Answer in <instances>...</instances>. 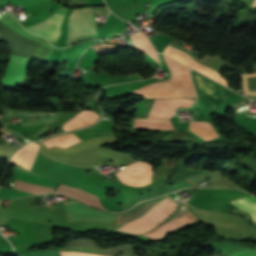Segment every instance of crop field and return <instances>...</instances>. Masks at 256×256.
Instances as JSON below:
<instances>
[{"label":"crop field","instance_id":"10","mask_svg":"<svg viewBox=\"0 0 256 256\" xmlns=\"http://www.w3.org/2000/svg\"><path fill=\"white\" fill-rule=\"evenodd\" d=\"M98 119V114L92 111H83L63 125L65 131L89 126Z\"/></svg>","mask_w":256,"mask_h":256},{"label":"crop field","instance_id":"20","mask_svg":"<svg viewBox=\"0 0 256 256\" xmlns=\"http://www.w3.org/2000/svg\"><path fill=\"white\" fill-rule=\"evenodd\" d=\"M0 119H1V117H0Z\"/></svg>","mask_w":256,"mask_h":256},{"label":"crop field","instance_id":"7","mask_svg":"<svg viewBox=\"0 0 256 256\" xmlns=\"http://www.w3.org/2000/svg\"><path fill=\"white\" fill-rule=\"evenodd\" d=\"M193 74L201 101L207 111L230 93L222 89L221 87L211 83L210 81L202 78L201 76L195 73Z\"/></svg>","mask_w":256,"mask_h":256},{"label":"crop field","instance_id":"1","mask_svg":"<svg viewBox=\"0 0 256 256\" xmlns=\"http://www.w3.org/2000/svg\"><path fill=\"white\" fill-rule=\"evenodd\" d=\"M167 196L168 195L139 203L131 210L126 212L115 213V229L118 230L123 226L127 225L128 223L132 222L133 220L137 219L138 217L142 216L144 213H146L148 210H150ZM177 206L178 204L174 202L173 199L167 197L145 215L120 230L137 234L147 232L156 225H158L160 222H162L166 217H168L177 208Z\"/></svg>","mask_w":256,"mask_h":256},{"label":"crop field","instance_id":"11","mask_svg":"<svg viewBox=\"0 0 256 256\" xmlns=\"http://www.w3.org/2000/svg\"><path fill=\"white\" fill-rule=\"evenodd\" d=\"M189 130L206 141L218 137V134L214 128L210 124L203 121L190 122Z\"/></svg>","mask_w":256,"mask_h":256},{"label":"crop field","instance_id":"14","mask_svg":"<svg viewBox=\"0 0 256 256\" xmlns=\"http://www.w3.org/2000/svg\"><path fill=\"white\" fill-rule=\"evenodd\" d=\"M251 198L256 200V197L254 196H251ZM252 199L246 197L231 202L235 204L237 207L249 212L252 215L253 220L256 221V201Z\"/></svg>","mask_w":256,"mask_h":256},{"label":"crop field","instance_id":"4","mask_svg":"<svg viewBox=\"0 0 256 256\" xmlns=\"http://www.w3.org/2000/svg\"><path fill=\"white\" fill-rule=\"evenodd\" d=\"M115 173L127 185L145 186L150 183L151 165L137 161Z\"/></svg>","mask_w":256,"mask_h":256},{"label":"crop field","instance_id":"16","mask_svg":"<svg viewBox=\"0 0 256 256\" xmlns=\"http://www.w3.org/2000/svg\"><path fill=\"white\" fill-rule=\"evenodd\" d=\"M58 118H48V119H35V120H27L22 123V126L24 125H37V124H44V123H50L54 120H57Z\"/></svg>","mask_w":256,"mask_h":256},{"label":"crop field","instance_id":"3","mask_svg":"<svg viewBox=\"0 0 256 256\" xmlns=\"http://www.w3.org/2000/svg\"><path fill=\"white\" fill-rule=\"evenodd\" d=\"M94 36H96V31L92 8L71 11L68 35L65 43Z\"/></svg>","mask_w":256,"mask_h":256},{"label":"crop field","instance_id":"12","mask_svg":"<svg viewBox=\"0 0 256 256\" xmlns=\"http://www.w3.org/2000/svg\"><path fill=\"white\" fill-rule=\"evenodd\" d=\"M130 37L132 44L135 47L145 51L151 58H153L159 64L158 56L155 50L153 49L152 45L148 42L144 35H142L140 32H137L131 35Z\"/></svg>","mask_w":256,"mask_h":256},{"label":"crop field","instance_id":"18","mask_svg":"<svg viewBox=\"0 0 256 256\" xmlns=\"http://www.w3.org/2000/svg\"><path fill=\"white\" fill-rule=\"evenodd\" d=\"M241 1H243V2L247 3L248 5H250L253 0H241Z\"/></svg>","mask_w":256,"mask_h":256},{"label":"crop field","instance_id":"15","mask_svg":"<svg viewBox=\"0 0 256 256\" xmlns=\"http://www.w3.org/2000/svg\"><path fill=\"white\" fill-rule=\"evenodd\" d=\"M77 142H79V140L74 135H63L54 139L44 141L47 147L54 145L67 147Z\"/></svg>","mask_w":256,"mask_h":256},{"label":"crop field","instance_id":"17","mask_svg":"<svg viewBox=\"0 0 256 256\" xmlns=\"http://www.w3.org/2000/svg\"><path fill=\"white\" fill-rule=\"evenodd\" d=\"M231 256H256L255 250L246 249L240 253L233 254Z\"/></svg>","mask_w":256,"mask_h":256},{"label":"crop field","instance_id":"5","mask_svg":"<svg viewBox=\"0 0 256 256\" xmlns=\"http://www.w3.org/2000/svg\"><path fill=\"white\" fill-rule=\"evenodd\" d=\"M197 219L198 218L189 211L186 205H184L181 206L170 219L166 220L154 230L143 235L154 239H159L163 237L167 232L183 227L193 221H196Z\"/></svg>","mask_w":256,"mask_h":256},{"label":"crop field","instance_id":"9","mask_svg":"<svg viewBox=\"0 0 256 256\" xmlns=\"http://www.w3.org/2000/svg\"><path fill=\"white\" fill-rule=\"evenodd\" d=\"M66 212H72V211H85V210H94L91 208H88L78 202L70 203L64 205ZM93 211H85V212H73L69 213L68 218L70 221L73 220H101V221H114V215L109 213H101V212H93Z\"/></svg>","mask_w":256,"mask_h":256},{"label":"crop field","instance_id":"21","mask_svg":"<svg viewBox=\"0 0 256 256\" xmlns=\"http://www.w3.org/2000/svg\"><path fill=\"white\" fill-rule=\"evenodd\" d=\"M83 70V69H82Z\"/></svg>","mask_w":256,"mask_h":256},{"label":"crop field","instance_id":"2","mask_svg":"<svg viewBox=\"0 0 256 256\" xmlns=\"http://www.w3.org/2000/svg\"><path fill=\"white\" fill-rule=\"evenodd\" d=\"M164 58L171 73L170 80L135 90L134 94L145 98L184 97L196 99L189 69L166 56Z\"/></svg>","mask_w":256,"mask_h":256},{"label":"crop field","instance_id":"8","mask_svg":"<svg viewBox=\"0 0 256 256\" xmlns=\"http://www.w3.org/2000/svg\"><path fill=\"white\" fill-rule=\"evenodd\" d=\"M193 103L188 99H157L148 118H170L177 107L189 108Z\"/></svg>","mask_w":256,"mask_h":256},{"label":"crop field","instance_id":"6","mask_svg":"<svg viewBox=\"0 0 256 256\" xmlns=\"http://www.w3.org/2000/svg\"><path fill=\"white\" fill-rule=\"evenodd\" d=\"M66 13L67 10L59 7L52 16L34 26L27 27L26 29L56 42L60 35V28Z\"/></svg>","mask_w":256,"mask_h":256},{"label":"crop field","instance_id":"13","mask_svg":"<svg viewBox=\"0 0 256 256\" xmlns=\"http://www.w3.org/2000/svg\"><path fill=\"white\" fill-rule=\"evenodd\" d=\"M13 115L24 117V118H40V117H60L61 113H52V112H32L25 110H16L8 108L4 112V116L10 119Z\"/></svg>","mask_w":256,"mask_h":256},{"label":"crop field","instance_id":"19","mask_svg":"<svg viewBox=\"0 0 256 256\" xmlns=\"http://www.w3.org/2000/svg\"><path fill=\"white\" fill-rule=\"evenodd\" d=\"M7 13H9V12H7ZM9 14H11V13H9ZM11 15H13V14H11Z\"/></svg>","mask_w":256,"mask_h":256}]
</instances>
